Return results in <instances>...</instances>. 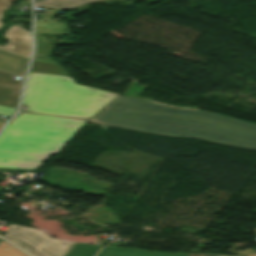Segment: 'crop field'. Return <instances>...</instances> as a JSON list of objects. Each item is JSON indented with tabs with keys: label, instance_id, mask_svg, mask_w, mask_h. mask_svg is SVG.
<instances>
[{
	"label": "crop field",
	"instance_id": "obj_18",
	"mask_svg": "<svg viewBox=\"0 0 256 256\" xmlns=\"http://www.w3.org/2000/svg\"><path fill=\"white\" fill-rule=\"evenodd\" d=\"M189 256H214V255H197V254H189Z\"/></svg>",
	"mask_w": 256,
	"mask_h": 256
},
{
	"label": "crop field",
	"instance_id": "obj_13",
	"mask_svg": "<svg viewBox=\"0 0 256 256\" xmlns=\"http://www.w3.org/2000/svg\"><path fill=\"white\" fill-rule=\"evenodd\" d=\"M5 242H0V256H26L16 248Z\"/></svg>",
	"mask_w": 256,
	"mask_h": 256
},
{
	"label": "crop field",
	"instance_id": "obj_1",
	"mask_svg": "<svg viewBox=\"0 0 256 256\" xmlns=\"http://www.w3.org/2000/svg\"><path fill=\"white\" fill-rule=\"evenodd\" d=\"M85 122L21 114L0 135V168L34 170L58 154Z\"/></svg>",
	"mask_w": 256,
	"mask_h": 256
},
{
	"label": "crop field",
	"instance_id": "obj_16",
	"mask_svg": "<svg viewBox=\"0 0 256 256\" xmlns=\"http://www.w3.org/2000/svg\"><path fill=\"white\" fill-rule=\"evenodd\" d=\"M13 5L9 0H0V18L2 17V11ZM0 25H2L0 23ZM1 27V26H0Z\"/></svg>",
	"mask_w": 256,
	"mask_h": 256
},
{
	"label": "crop field",
	"instance_id": "obj_9",
	"mask_svg": "<svg viewBox=\"0 0 256 256\" xmlns=\"http://www.w3.org/2000/svg\"><path fill=\"white\" fill-rule=\"evenodd\" d=\"M97 256H188V254L154 253L145 250L105 247Z\"/></svg>",
	"mask_w": 256,
	"mask_h": 256
},
{
	"label": "crop field",
	"instance_id": "obj_2",
	"mask_svg": "<svg viewBox=\"0 0 256 256\" xmlns=\"http://www.w3.org/2000/svg\"><path fill=\"white\" fill-rule=\"evenodd\" d=\"M92 121L134 131L198 138L218 145L256 150V133L204 120L105 109Z\"/></svg>",
	"mask_w": 256,
	"mask_h": 256
},
{
	"label": "crop field",
	"instance_id": "obj_8",
	"mask_svg": "<svg viewBox=\"0 0 256 256\" xmlns=\"http://www.w3.org/2000/svg\"><path fill=\"white\" fill-rule=\"evenodd\" d=\"M28 58L0 50V70L25 75Z\"/></svg>",
	"mask_w": 256,
	"mask_h": 256
},
{
	"label": "crop field",
	"instance_id": "obj_10",
	"mask_svg": "<svg viewBox=\"0 0 256 256\" xmlns=\"http://www.w3.org/2000/svg\"><path fill=\"white\" fill-rule=\"evenodd\" d=\"M99 0H35L36 6L46 9H71Z\"/></svg>",
	"mask_w": 256,
	"mask_h": 256
},
{
	"label": "crop field",
	"instance_id": "obj_5",
	"mask_svg": "<svg viewBox=\"0 0 256 256\" xmlns=\"http://www.w3.org/2000/svg\"><path fill=\"white\" fill-rule=\"evenodd\" d=\"M105 108L185 116V117H193V118H203V119L211 120L214 122L256 132V124H252V123H248V122H244V121H240V120H236V119H232V118H228L220 115H215V114H211L203 111H189V110L170 108V107L150 103L143 99L118 96Z\"/></svg>",
	"mask_w": 256,
	"mask_h": 256
},
{
	"label": "crop field",
	"instance_id": "obj_6",
	"mask_svg": "<svg viewBox=\"0 0 256 256\" xmlns=\"http://www.w3.org/2000/svg\"><path fill=\"white\" fill-rule=\"evenodd\" d=\"M4 37L8 38L9 41L5 46H0V49L30 57L32 49L30 32L14 24L5 32Z\"/></svg>",
	"mask_w": 256,
	"mask_h": 256
},
{
	"label": "crop field",
	"instance_id": "obj_12",
	"mask_svg": "<svg viewBox=\"0 0 256 256\" xmlns=\"http://www.w3.org/2000/svg\"><path fill=\"white\" fill-rule=\"evenodd\" d=\"M99 247L87 245V244H74L73 247L65 256H94Z\"/></svg>",
	"mask_w": 256,
	"mask_h": 256
},
{
	"label": "crop field",
	"instance_id": "obj_14",
	"mask_svg": "<svg viewBox=\"0 0 256 256\" xmlns=\"http://www.w3.org/2000/svg\"><path fill=\"white\" fill-rule=\"evenodd\" d=\"M37 40V47L35 54L50 55L53 53L56 45L43 44L39 36H35Z\"/></svg>",
	"mask_w": 256,
	"mask_h": 256
},
{
	"label": "crop field",
	"instance_id": "obj_3",
	"mask_svg": "<svg viewBox=\"0 0 256 256\" xmlns=\"http://www.w3.org/2000/svg\"><path fill=\"white\" fill-rule=\"evenodd\" d=\"M117 96L71 77L30 72L22 104L33 113L90 119Z\"/></svg>",
	"mask_w": 256,
	"mask_h": 256
},
{
	"label": "crop field",
	"instance_id": "obj_20",
	"mask_svg": "<svg viewBox=\"0 0 256 256\" xmlns=\"http://www.w3.org/2000/svg\"><path fill=\"white\" fill-rule=\"evenodd\" d=\"M0 241H1V239H0Z\"/></svg>",
	"mask_w": 256,
	"mask_h": 256
},
{
	"label": "crop field",
	"instance_id": "obj_15",
	"mask_svg": "<svg viewBox=\"0 0 256 256\" xmlns=\"http://www.w3.org/2000/svg\"><path fill=\"white\" fill-rule=\"evenodd\" d=\"M15 110L16 109H14V108L0 106V115L11 117L14 114Z\"/></svg>",
	"mask_w": 256,
	"mask_h": 256
},
{
	"label": "crop field",
	"instance_id": "obj_7",
	"mask_svg": "<svg viewBox=\"0 0 256 256\" xmlns=\"http://www.w3.org/2000/svg\"><path fill=\"white\" fill-rule=\"evenodd\" d=\"M14 78L15 75L0 72V105L16 108L24 78Z\"/></svg>",
	"mask_w": 256,
	"mask_h": 256
},
{
	"label": "crop field",
	"instance_id": "obj_11",
	"mask_svg": "<svg viewBox=\"0 0 256 256\" xmlns=\"http://www.w3.org/2000/svg\"><path fill=\"white\" fill-rule=\"evenodd\" d=\"M34 72H43V73H51V74H59V75H67L69 76L61 65L49 64L43 62H32L31 70Z\"/></svg>",
	"mask_w": 256,
	"mask_h": 256
},
{
	"label": "crop field",
	"instance_id": "obj_19",
	"mask_svg": "<svg viewBox=\"0 0 256 256\" xmlns=\"http://www.w3.org/2000/svg\"><path fill=\"white\" fill-rule=\"evenodd\" d=\"M3 124V122H0V126Z\"/></svg>",
	"mask_w": 256,
	"mask_h": 256
},
{
	"label": "crop field",
	"instance_id": "obj_17",
	"mask_svg": "<svg viewBox=\"0 0 256 256\" xmlns=\"http://www.w3.org/2000/svg\"><path fill=\"white\" fill-rule=\"evenodd\" d=\"M235 254H243V255H247V256H256L255 253H249V252H232Z\"/></svg>",
	"mask_w": 256,
	"mask_h": 256
},
{
	"label": "crop field",
	"instance_id": "obj_4",
	"mask_svg": "<svg viewBox=\"0 0 256 256\" xmlns=\"http://www.w3.org/2000/svg\"><path fill=\"white\" fill-rule=\"evenodd\" d=\"M33 256H64L73 242L53 239L31 228L9 225L4 237Z\"/></svg>",
	"mask_w": 256,
	"mask_h": 256
}]
</instances>
